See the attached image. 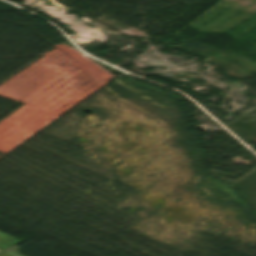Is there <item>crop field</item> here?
I'll return each instance as SVG.
<instances>
[{
    "mask_svg": "<svg viewBox=\"0 0 256 256\" xmlns=\"http://www.w3.org/2000/svg\"><path fill=\"white\" fill-rule=\"evenodd\" d=\"M61 51H63L65 54H67L69 57H71L76 62L72 65H74L76 68L81 70L83 73L91 77L93 80L98 82L100 85L106 84L108 81H110L108 78L111 76L105 71L101 70L91 62L84 59L79 53H77L75 50L69 48L68 46L62 44L60 46H57Z\"/></svg>",
    "mask_w": 256,
    "mask_h": 256,
    "instance_id": "obj_1",
    "label": "crop field"
},
{
    "mask_svg": "<svg viewBox=\"0 0 256 256\" xmlns=\"http://www.w3.org/2000/svg\"><path fill=\"white\" fill-rule=\"evenodd\" d=\"M20 242H22V241H18L16 239L0 232V249L1 250H4V249L11 247L15 244H18Z\"/></svg>",
    "mask_w": 256,
    "mask_h": 256,
    "instance_id": "obj_2",
    "label": "crop field"
}]
</instances>
